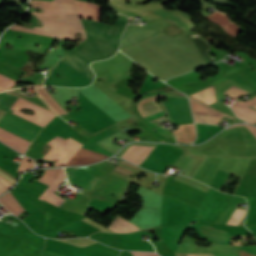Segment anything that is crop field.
<instances>
[{
  "mask_svg": "<svg viewBox=\"0 0 256 256\" xmlns=\"http://www.w3.org/2000/svg\"><path fill=\"white\" fill-rule=\"evenodd\" d=\"M120 51L163 81L209 65L196 55L190 40L162 32Z\"/></svg>",
  "mask_w": 256,
  "mask_h": 256,
  "instance_id": "8a807250",
  "label": "crop field"
},
{
  "mask_svg": "<svg viewBox=\"0 0 256 256\" xmlns=\"http://www.w3.org/2000/svg\"><path fill=\"white\" fill-rule=\"evenodd\" d=\"M81 20L86 30L87 39L62 60L92 81L94 74L88 64L95 60L110 58L115 54L118 50L120 35L126 23L118 21L111 36H108L106 34L112 26L95 21Z\"/></svg>",
  "mask_w": 256,
  "mask_h": 256,
  "instance_id": "ac0d7876",
  "label": "crop field"
},
{
  "mask_svg": "<svg viewBox=\"0 0 256 256\" xmlns=\"http://www.w3.org/2000/svg\"><path fill=\"white\" fill-rule=\"evenodd\" d=\"M42 23L43 26H36L33 29L23 28L19 25L11 27V30H21L25 32L35 33L39 35L64 38L69 40H75V34L80 32L83 35V40L86 39L85 30L81 22L57 20L45 17L36 16ZM82 40V41H83Z\"/></svg>",
  "mask_w": 256,
  "mask_h": 256,
  "instance_id": "34b2d1b8",
  "label": "crop field"
},
{
  "mask_svg": "<svg viewBox=\"0 0 256 256\" xmlns=\"http://www.w3.org/2000/svg\"><path fill=\"white\" fill-rule=\"evenodd\" d=\"M30 6L42 8L43 11V14L32 12L33 15L81 21L74 0H53L52 2L30 0Z\"/></svg>",
  "mask_w": 256,
  "mask_h": 256,
  "instance_id": "412701ff",
  "label": "crop field"
},
{
  "mask_svg": "<svg viewBox=\"0 0 256 256\" xmlns=\"http://www.w3.org/2000/svg\"><path fill=\"white\" fill-rule=\"evenodd\" d=\"M184 237V236H183ZM239 249L233 246L212 245L208 248L197 247L193 238L184 237L176 252H193V253H214V256H238ZM239 256H256L245 251H240Z\"/></svg>",
  "mask_w": 256,
  "mask_h": 256,
  "instance_id": "f4fd0767",
  "label": "crop field"
},
{
  "mask_svg": "<svg viewBox=\"0 0 256 256\" xmlns=\"http://www.w3.org/2000/svg\"><path fill=\"white\" fill-rule=\"evenodd\" d=\"M24 107L34 110L35 115L28 116V115H25L24 113L20 112L19 109H22ZM10 109L14 111L13 113H15L25 119H28L42 127H44L50 120H52L56 116L55 114L48 112L44 109H41V108L21 99L19 97Z\"/></svg>",
  "mask_w": 256,
  "mask_h": 256,
  "instance_id": "dd49c442",
  "label": "crop field"
},
{
  "mask_svg": "<svg viewBox=\"0 0 256 256\" xmlns=\"http://www.w3.org/2000/svg\"><path fill=\"white\" fill-rule=\"evenodd\" d=\"M190 104L193 112L195 122L209 123L218 125L223 116L231 117L223 114L197 100L190 98ZM233 118V117H231Z\"/></svg>",
  "mask_w": 256,
  "mask_h": 256,
  "instance_id": "e52e79f7",
  "label": "crop field"
},
{
  "mask_svg": "<svg viewBox=\"0 0 256 256\" xmlns=\"http://www.w3.org/2000/svg\"><path fill=\"white\" fill-rule=\"evenodd\" d=\"M65 171L70 183L91 192L101 180L95 176L89 175L76 169L65 168Z\"/></svg>",
  "mask_w": 256,
  "mask_h": 256,
  "instance_id": "d8731c3e",
  "label": "crop field"
},
{
  "mask_svg": "<svg viewBox=\"0 0 256 256\" xmlns=\"http://www.w3.org/2000/svg\"><path fill=\"white\" fill-rule=\"evenodd\" d=\"M254 103H256V97L246 102L239 100L233 103L231 109L235 112L237 117L254 124L256 123V111L248 108V106Z\"/></svg>",
  "mask_w": 256,
  "mask_h": 256,
  "instance_id": "5a996713",
  "label": "crop field"
},
{
  "mask_svg": "<svg viewBox=\"0 0 256 256\" xmlns=\"http://www.w3.org/2000/svg\"><path fill=\"white\" fill-rule=\"evenodd\" d=\"M66 178L64 174V170L62 169L61 172L58 174V176L55 178V180L52 182V184L47 188V190L39 197V199H43L55 206H59L62 202L65 200L60 198L58 195H56L54 192L58 188V186L63 182V180Z\"/></svg>",
  "mask_w": 256,
  "mask_h": 256,
  "instance_id": "3316defc",
  "label": "crop field"
},
{
  "mask_svg": "<svg viewBox=\"0 0 256 256\" xmlns=\"http://www.w3.org/2000/svg\"><path fill=\"white\" fill-rule=\"evenodd\" d=\"M154 147H144L138 145H132L121 158L135 164L140 165L142 161L149 155Z\"/></svg>",
  "mask_w": 256,
  "mask_h": 256,
  "instance_id": "28ad6ade",
  "label": "crop field"
},
{
  "mask_svg": "<svg viewBox=\"0 0 256 256\" xmlns=\"http://www.w3.org/2000/svg\"><path fill=\"white\" fill-rule=\"evenodd\" d=\"M0 141L6 143L14 150H18L19 152L23 153L26 151L28 146L30 145V142L15 136L3 129L0 128Z\"/></svg>",
  "mask_w": 256,
  "mask_h": 256,
  "instance_id": "d1516ede",
  "label": "crop field"
},
{
  "mask_svg": "<svg viewBox=\"0 0 256 256\" xmlns=\"http://www.w3.org/2000/svg\"><path fill=\"white\" fill-rule=\"evenodd\" d=\"M76 4L81 17L100 21L101 6L83 1H76Z\"/></svg>",
  "mask_w": 256,
  "mask_h": 256,
  "instance_id": "22f410ed",
  "label": "crop field"
},
{
  "mask_svg": "<svg viewBox=\"0 0 256 256\" xmlns=\"http://www.w3.org/2000/svg\"><path fill=\"white\" fill-rule=\"evenodd\" d=\"M205 18L211 21H214L216 23H219L224 28V30L230 35H232L233 37H236L241 32H243L239 26L231 23L228 17L222 13L215 12Z\"/></svg>",
  "mask_w": 256,
  "mask_h": 256,
  "instance_id": "cbeb9de0",
  "label": "crop field"
},
{
  "mask_svg": "<svg viewBox=\"0 0 256 256\" xmlns=\"http://www.w3.org/2000/svg\"><path fill=\"white\" fill-rule=\"evenodd\" d=\"M80 152H84V153H88V154H92V155H96V156H100V157H104L107 158L109 156H105L99 153H95L86 149H82L80 148L79 150ZM103 158H99V157H95V156H91V155H87V154H83V153H79L77 152L75 154V156L68 162V164L66 166H70V165H81V164H89V163H93L99 160H102Z\"/></svg>",
  "mask_w": 256,
  "mask_h": 256,
  "instance_id": "5142ce71",
  "label": "crop field"
},
{
  "mask_svg": "<svg viewBox=\"0 0 256 256\" xmlns=\"http://www.w3.org/2000/svg\"><path fill=\"white\" fill-rule=\"evenodd\" d=\"M157 32L155 31H143V30H131V29H125L123 35H122V41H121V48L130 45L134 42H137L143 38H146L150 35H153Z\"/></svg>",
  "mask_w": 256,
  "mask_h": 256,
  "instance_id": "d9b57169",
  "label": "crop field"
},
{
  "mask_svg": "<svg viewBox=\"0 0 256 256\" xmlns=\"http://www.w3.org/2000/svg\"><path fill=\"white\" fill-rule=\"evenodd\" d=\"M161 97H164V96L163 95H159V96H155V97H151V98L142 99L140 101V103L137 104V109H138L139 113L143 117H145L147 115H150V114H153L155 112L160 111L161 108L158 107V105L156 104L155 100L157 98H161ZM162 118L156 119L154 121L160 120ZM154 121H151V122H154Z\"/></svg>",
  "mask_w": 256,
  "mask_h": 256,
  "instance_id": "733c2abd",
  "label": "crop field"
},
{
  "mask_svg": "<svg viewBox=\"0 0 256 256\" xmlns=\"http://www.w3.org/2000/svg\"><path fill=\"white\" fill-rule=\"evenodd\" d=\"M108 229H110L114 232H119V233H128V232L140 230L133 223H131L121 217L115 219L114 222L110 225V227Z\"/></svg>",
  "mask_w": 256,
  "mask_h": 256,
  "instance_id": "4a817a6b",
  "label": "crop field"
},
{
  "mask_svg": "<svg viewBox=\"0 0 256 256\" xmlns=\"http://www.w3.org/2000/svg\"><path fill=\"white\" fill-rule=\"evenodd\" d=\"M174 133L177 140L181 142H193L196 138L194 124L179 126V130Z\"/></svg>",
  "mask_w": 256,
  "mask_h": 256,
  "instance_id": "bc2a9ffb",
  "label": "crop field"
},
{
  "mask_svg": "<svg viewBox=\"0 0 256 256\" xmlns=\"http://www.w3.org/2000/svg\"><path fill=\"white\" fill-rule=\"evenodd\" d=\"M0 202L16 216L25 211L10 192L1 197Z\"/></svg>",
  "mask_w": 256,
  "mask_h": 256,
  "instance_id": "214f88e0",
  "label": "crop field"
},
{
  "mask_svg": "<svg viewBox=\"0 0 256 256\" xmlns=\"http://www.w3.org/2000/svg\"><path fill=\"white\" fill-rule=\"evenodd\" d=\"M20 92V89H14V90H10V91H7L5 94H8V95H16V96H19L41 108H44L48 111H51L53 112L48 106L47 104L39 97V96H27V95H23ZM54 113V112H53Z\"/></svg>",
  "mask_w": 256,
  "mask_h": 256,
  "instance_id": "92a150f3",
  "label": "crop field"
},
{
  "mask_svg": "<svg viewBox=\"0 0 256 256\" xmlns=\"http://www.w3.org/2000/svg\"><path fill=\"white\" fill-rule=\"evenodd\" d=\"M40 96H42L45 101L50 105V107L58 114H66V112L58 105V103L52 98V96L44 89H36Z\"/></svg>",
  "mask_w": 256,
  "mask_h": 256,
  "instance_id": "dafd665d",
  "label": "crop field"
},
{
  "mask_svg": "<svg viewBox=\"0 0 256 256\" xmlns=\"http://www.w3.org/2000/svg\"><path fill=\"white\" fill-rule=\"evenodd\" d=\"M61 169H50V170H46L44 175L41 177V179L39 180V182L44 183L46 185L49 186V184L51 183V181L54 179V177L56 176V174L60 171Z\"/></svg>",
  "mask_w": 256,
  "mask_h": 256,
  "instance_id": "00972430",
  "label": "crop field"
},
{
  "mask_svg": "<svg viewBox=\"0 0 256 256\" xmlns=\"http://www.w3.org/2000/svg\"><path fill=\"white\" fill-rule=\"evenodd\" d=\"M246 93H248V92L233 86L225 92V95H228V96L236 99V98H238V97H240V96H242ZM236 100H238V99H236Z\"/></svg>",
  "mask_w": 256,
  "mask_h": 256,
  "instance_id": "a9b5d70f",
  "label": "crop field"
},
{
  "mask_svg": "<svg viewBox=\"0 0 256 256\" xmlns=\"http://www.w3.org/2000/svg\"><path fill=\"white\" fill-rule=\"evenodd\" d=\"M28 158H29V157H28ZM28 158L24 157L23 160H22V162H21V164H20V166H19V168H18V171H19V174H20V175H21V173H22L23 171H25L26 169L33 167V160L28 159ZM27 160H30L31 163H28Z\"/></svg>",
  "mask_w": 256,
  "mask_h": 256,
  "instance_id": "4177f3b9",
  "label": "crop field"
},
{
  "mask_svg": "<svg viewBox=\"0 0 256 256\" xmlns=\"http://www.w3.org/2000/svg\"><path fill=\"white\" fill-rule=\"evenodd\" d=\"M16 81H13L3 75H0V86L9 89Z\"/></svg>",
  "mask_w": 256,
  "mask_h": 256,
  "instance_id": "730fd06b",
  "label": "crop field"
},
{
  "mask_svg": "<svg viewBox=\"0 0 256 256\" xmlns=\"http://www.w3.org/2000/svg\"><path fill=\"white\" fill-rule=\"evenodd\" d=\"M0 176L2 178H4L5 180H7L9 183H11L13 185V183L15 182V178H13L11 175H9L7 172L3 171L0 169Z\"/></svg>",
  "mask_w": 256,
  "mask_h": 256,
  "instance_id": "eef30255",
  "label": "crop field"
},
{
  "mask_svg": "<svg viewBox=\"0 0 256 256\" xmlns=\"http://www.w3.org/2000/svg\"><path fill=\"white\" fill-rule=\"evenodd\" d=\"M12 185L6 182L4 179L0 177V189L4 192L8 190Z\"/></svg>",
  "mask_w": 256,
  "mask_h": 256,
  "instance_id": "ae1a2a85",
  "label": "crop field"
},
{
  "mask_svg": "<svg viewBox=\"0 0 256 256\" xmlns=\"http://www.w3.org/2000/svg\"><path fill=\"white\" fill-rule=\"evenodd\" d=\"M115 171L118 172V173L124 174L126 176H128V175H130L132 173V172H130V171H128V170L118 166V165H117Z\"/></svg>",
  "mask_w": 256,
  "mask_h": 256,
  "instance_id": "d3111659",
  "label": "crop field"
},
{
  "mask_svg": "<svg viewBox=\"0 0 256 256\" xmlns=\"http://www.w3.org/2000/svg\"><path fill=\"white\" fill-rule=\"evenodd\" d=\"M134 256H159L155 253H146V252H132Z\"/></svg>",
  "mask_w": 256,
  "mask_h": 256,
  "instance_id": "750c4746",
  "label": "crop field"
},
{
  "mask_svg": "<svg viewBox=\"0 0 256 256\" xmlns=\"http://www.w3.org/2000/svg\"><path fill=\"white\" fill-rule=\"evenodd\" d=\"M240 125H243V124L233 125L232 127H234V126H240ZM245 126H246V127L254 134V136L256 137V128L253 127V126H250V125H245ZM232 127L228 128V130L231 129Z\"/></svg>",
  "mask_w": 256,
  "mask_h": 256,
  "instance_id": "bd1437ed",
  "label": "crop field"
},
{
  "mask_svg": "<svg viewBox=\"0 0 256 256\" xmlns=\"http://www.w3.org/2000/svg\"><path fill=\"white\" fill-rule=\"evenodd\" d=\"M121 164H124V165H126V166H129V167H131V168H133V169H135V170L139 169V167H136V166H134V165H132V164L126 162V161H125V162H122V161H121Z\"/></svg>",
  "mask_w": 256,
  "mask_h": 256,
  "instance_id": "1d83c4d3",
  "label": "crop field"
},
{
  "mask_svg": "<svg viewBox=\"0 0 256 256\" xmlns=\"http://www.w3.org/2000/svg\"><path fill=\"white\" fill-rule=\"evenodd\" d=\"M188 256H213V254H188Z\"/></svg>",
  "mask_w": 256,
  "mask_h": 256,
  "instance_id": "120bbe31",
  "label": "crop field"
},
{
  "mask_svg": "<svg viewBox=\"0 0 256 256\" xmlns=\"http://www.w3.org/2000/svg\"><path fill=\"white\" fill-rule=\"evenodd\" d=\"M27 87H43V85H32V86H27Z\"/></svg>",
  "mask_w": 256,
  "mask_h": 256,
  "instance_id": "d32e631a",
  "label": "crop field"
},
{
  "mask_svg": "<svg viewBox=\"0 0 256 256\" xmlns=\"http://www.w3.org/2000/svg\"><path fill=\"white\" fill-rule=\"evenodd\" d=\"M252 107L256 108V105H254V106H252ZM252 107H251V108H252ZM254 108H253V109H254ZM255 110H256V109H255Z\"/></svg>",
  "mask_w": 256,
  "mask_h": 256,
  "instance_id": "5866460e",
  "label": "crop field"
},
{
  "mask_svg": "<svg viewBox=\"0 0 256 256\" xmlns=\"http://www.w3.org/2000/svg\"><path fill=\"white\" fill-rule=\"evenodd\" d=\"M3 193L1 190H0V194Z\"/></svg>",
  "mask_w": 256,
  "mask_h": 256,
  "instance_id": "028f5c9d",
  "label": "crop field"
}]
</instances>
